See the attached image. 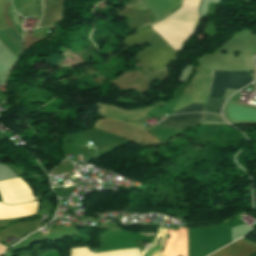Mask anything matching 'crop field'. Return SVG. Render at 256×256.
<instances>
[{
	"label": "crop field",
	"instance_id": "obj_1",
	"mask_svg": "<svg viewBox=\"0 0 256 256\" xmlns=\"http://www.w3.org/2000/svg\"><path fill=\"white\" fill-rule=\"evenodd\" d=\"M251 76L247 71H212L209 97H222L226 88L239 90L249 84Z\"/></svg>",
	"mask_w": 256,
	"mask_h": 256
},
{
	"label": "crop field",
	"instance_id": "obj_2",
	"mask_svg": "<svg viewBox=\"0 0 256 256\" xmlns=\"http://www.w3.org/2000/svg\"><path fill=\"white\" fill-rule=\"evenodd\" d=\"M0 194L3 200L17 201L34 197L29 186L20 178L0 182Z\"/></svg>",
	"mask_w": 256,
	"mask_h": 256
},
{
	"label": "crop field",
	"instance_id": "obj_3",
	"mask_svg": "<svg viewBox=\"0 0 256 256\" xmlns=\"http://www.w3.org/2000/svg\"><path fill=\"white\" fill-rule=\"evenodd\" d=\"M175 56L176 52L170 46L157 50L150 47L137 54V57L158 71L167 66Z\"/></svg>",
	"mask_w": 256,
	"mask_h": 256
},
{
	"label": "crop field",
	"instance_id": "obj_4",
	"mask_svg": "<svg viewBox=\"0 0 256 256\" xmlns=\"http://www.w3.org/2000/svg\"><path fill=\"white\" fill-rule=\"evenodd\" d=\"M38 201L10 206L0 203V219H13L36 213Z\"/></svg>",
	"mask_w": 256,
	"mask_h": 256
},
{
	"label": "crop field",
	"instance_id": "obj_5",
	"mask_svg": "<svg viewBox=\"0 0 256 256\" xmlns=\"http://www.w3.org/2000/svg\"><path fill=\"white\" fill-rule=\"evenodd\" d=\"M203 113L169 116L160 125L184 129L201 123Z\"/></svg>",
	"mask_w": 256,
	"mask_h": 256
},
{
	"label": "crop field",
	"instance_id": "obj_6",
	"mask_svg": "<svg viewBox=\"0 0 256 256\" xmlns=\"http://www.w3.org/2000/svg\"><path fill=\"white\" fill-rule=\"evenodd\" d=\"M255 250L256 247L240 239L210 256H249Z\"/></svg>",
	"mask_w": 256,
	"mask_h": 256
},
{
	"label": "crop field",
	"instance_id": "obj_7",
	"mask_svg": "<svg viewBox=\"0 0 256 256\" xmlns=\"http://www.w3.org/2000/svg\"><path fill=\"white\" fill-rule=\"evenodd\" d=\"M63 0H43V16L38 27L47 26L57 20H60V5Z\"/></svg>",
	"mask_w": 256,
	"mask_h": 256
},
{
	"label": "crop field",
	"instance_id": "obj_8",
	"mask_svg": "<svg viewBox=\"0 0 256 256\" xmlns=\"http://www.w3.org/2000/svg\"><path fill=\"white\" fill-rule=\"evenodd\" d=\"M10 30L21 40V38L16 34V32L12 28H10ZM10 30L6 29L0 31V38L16 56H19L21 41Z\"/></svg>",
	"mask_w": 256,
	"mask_h": 256
},
{
	"label": "crop field",
	"instance_id": "obj_9",
	"mask_svg": "<svg viewBox=\"0 0 256 256\" xmlns=\"http://www.w3.org/2000/svg\"><path fill=\"white\" fill-rule=\"evenodd\" d=\"M225 101V98H208L204 112L221 114V107Z\"/></svg>",
	"mask_w": 256,
	"mask_h": 256
},
{
	"label": "crop field",
	"instance_id": "obj_10",
	"mask_svg": "<svg viewBox=\"0 0 256 256\" xmlns=\"http://www.w3.org/2000/svg\"><path fill=\"white\" fill-rule=\"evenodd\" d=\"M137 32L138 33L134 36L129 35V37L123 43L131 45L149 36L153 31L144 26L137 30Z\"/></svg>",
	"mask_w": 256,
	"mask_h": 256
},
{
	"label": "crop field",
	"instance_id": "obj_11",
	"mask_svg": "<svg viewBox=\"0 0 256 256\" xmlns=\"http://www.w3.org/2000/svg\"><path fill=\"white\" fill-rule=\"evenodd\" d=\"M204 105L192 103L176 112L174 114L188 113V112H203Z\"/></svg>",
	"mask_w": 256,
	"mask_h": 256
},
{
	"label": "crop field",
	"instance_id": "obj_12",
	"mask_svg": "<svg viewBox=\"0 0 256 256\" xmlns=\"http://www.w3.org/2000/svg\"><path fill=\"white\" fill-rule=\"evenodd\" d=\"M202 122H204V123H223V121L221 120V116L209 115V114L203 115Z\"/></svg>",
	"mask_w": 256,
	"mask_h": 256
},
{
	"label": "crop field",
	"instance_id": "obj_13",
	"mask_svg": "<svg viewBox=\"0 0 256 256\" xmlns=\"http://www.w3.org/2000/svg\"><path fill=\"white\" fill-rule=\"evenodd\" d=\"M7 249V247L0 244V255Z\"/></svg>",
	"mask_w": 256,
	"mask_h": 256
}]
</instances>
